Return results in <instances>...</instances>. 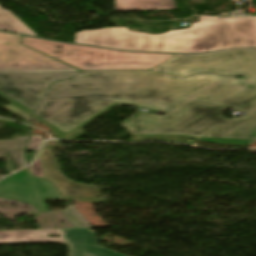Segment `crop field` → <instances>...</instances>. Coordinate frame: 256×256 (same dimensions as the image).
<instances>
[{"label":"crop field","instance_id":"obj_1","mask_svg":"<svg viewBox=\"0 0 256 256\" xmlns=\"http://www.w3.org/2000/svg\"><path fill=\"white\" fill-rule=\"evenodd\" d=\"M0 73V97L32 114L64 139L120 102L166 112L186 98L240 109L256 105V85L197 74L188 79L154 71Z\"/></svg>","mask_w":256,"mask_h":256},{"label":"crop field","instance_id":"obj_2","mask_svg":"<svg viewBox=\"0 0 256 256\" xmlns=\"http://www.w3.org/2000/svg\"><path fill=\"white\" fill-rule=\"evenodd\" d=\"M189 29L150 35L126 28L80 31L75 43L131 51L201 53L256 47V17H199Z\"/></svg>","mask_w":256,"mask_h":256},{"label":"crop field","instance_id":"obj_3","mask_svg":"<svg viewBox=\"0 0 256 256\" xmlns=\"http://www.w3.org/2000/svg\"><path fill=\"white\" fill-rule=\"evenodd\" d=\"M22 44L81 71L148 70L175 56L112 51L26 36Z\"/></svg>","mask_w":256,"mask_h":256},{"label":"crop field","instance_id":"obj_4","mask_svg":"<svg viewBox=\"0 0 256 256\" xmlns=\"http://www.w3.org/2000/svg\"><path fill=\"white\" fill-rule=\"evenodd\" d=\"M225 107L187 100L164 116L138 112L121 124L131 136H179L198 139L228 120Z\"/></svg>","mask_w":256,"mask_h":256},{"label":"crop field","instance_id":"obj_5","mask_svg":"<svg viewBox=\"0 0 256 256\" xmlns=\"http://www.w3.org/2000/svg\"><path fill=\"white\" fill-rule=\"evenodd\" d=\"M187 76L197 72L243 75L256 83V49L232 50L207 55H177L152 69Z\"/></svg>","mask_w":256,"mask_h":256},{"label":"crop field","instance_id":"obj_6","mask_svg":"<svg viewBox=\"0 0 256 256\" xmlns=\"http://www.w3.org/2000/svg\"><path fill=\"white\" fill-rule=\"evenodd\" d=\"M58 233L59 238H49ZM60 242L69 245V256H124L97 246L95 233L89 228L0 231V244Z\"/></svg>","mask_w":256,"mask_h":256},{"label":"crop field","instance_id":"obj_7","mask_svg":"<svg viewBox=\"0 0 256 256\" xmlns=\"http://www.w3.org/2000/svg\"><path fill=\"white\" fill-rule=\"evenodd\" d=\"M79 71L21 45V37L0 32V72Z\"/></svg>","mask_w":256,"mask_h":256},{"label":"crop field","instance_id":"obj_8","mask_svg":"<svg viewBox=\"0 0 256 256\" xmlns=\"http://www.w3.org/2000/svg\"><path fill=\"white\" fill-rule=\"evenodd\" d=\"M0 198L19 200L48 211L46 199L64 200L51 182L30 175L28 168L0 182Z\"/></svg>","mask_w":256,"mask_h":256},{"label":"crop field","instance_id":"obj_9","mask_svg":"<svg viewBox=\"0 0 256 256\" xmlns=\"http://www.w3.org/2000/svg\"><path fill=\"white\" fill-rule=\"evenodd\" d=\"M200 140L242 146L256 141V107L244 117L230 120Z\"/></svg>","mask_w":256,"mask_h":256},{"label":"crop field","instance_id":"obj_10","mask_svg":"<svg viewBox=\"0 0 256 256\" xmlns=\"http://www.w3.org/2000/svg\"><path fill=\"white\" fill-rule=\"evenodd\" d=\"M177 9L174 0H114V11Z\"/></svg>","mask_w":256,"mask_h":256},{"label":"crop field","instance_id":"obj_11","mask_svg":"<svg viewBox=\"0 0 256 256\" xmlns=\"http://www.w3.org/2000/svg\"><path fill=\"white\" fill-rule=\"evenodd\" d=\"M0 29L37 36L10 11L0 7Z\"/></svg>","mask_w":256,"mask_h":256},{"label":"crop field","instance_id":"obj_12","mask_svg":"<svg viewBox=\"0 0 256 256\" xmlns=\"http://www.w3.org/2000/svg\"><path fill=\"white\" fill-rule=\"evenodd\" d=\"M0 159H5L10 172L27 165L24 158V151L0 152Z\"/></svg>","mask_w":256,"mask_h":256},{"label":"crop field","instance_id":"obj_13","mask_svg":"<svg viewBox=\"0 0 256 256\" xmlns=\"http://www.w3.org/2000/svg\"><path fill=\"white\" fill-rule=\"evenodd\" d=\"M28 137H17L14 140H0V151L25 150Z\"/></svg>","mask_w":256,"mask_h":256},{"label":"crop field","instance_id":"obj_14","mask_svg":"<svg viewBox=\"0 0 256 256\" xmlns=\"http://www.w3.org/2000/svg\"><path fill=\"white\" fill-rule=\"evenodd\" d=\"M78 227H90L73 206L63 210Z\"/></svg>","mask_w":256,"mask_h":256},{"label":"crop field","instance_id":"obj_15","mask_svg":"<svg viewBox=\"0 0 256 256\" xmlns=\"http://www.w3.org/2000/svg\"><path fill=\"white\" fill-rule=\"evenodd\" d=\"M4 109L8 110L9 112L13 113L14 115L20 117L21 119L25 120L27 123H30V116L25 114L24 112L20 111L16 107L10 105L5 106Z\"/></svg>","mask_w":256,"mask_h":256},{"label":"crop field","instance_id":"obj_16","mask_svg":"<svg viewBox=\"0 0 256 256\" xmlns=\"http://www.w3.org/2000/svg\"><path fill=\"white\" fill-rule=\"evenodd\" d=\"M29 168H30L32 174L44 178V173H43L41 163H40V157H38L36 159V161L34 162V164L32 166H30Z\"/></svg>","mask_w":256,"mask_h":256},{"label":"crop field","instance_id":"obj_17","mask_svg":"<svg viewBox=\"0 0 256 256\" xmlns=\"http://www.w3.org/2000/svg\"><path fill=\"white\" fill-rule=\"evenodd\" d=\"M42 140L40 135H31L28 150H39L38 145Z\"/></svg>","mask_w":256,"mask_h":256},{"label":"crop field","instance_id":"obj_18","mask_svg":"<svg viewBox=\"0 0 256 256\" xmlns=\"http://www.w3.org/2000/svg\"><path fill=\"white\" fill-rule=\"evenodd\" d=\"M34 156H35L34 154L28 153V154H27V160H28V162H30V161L33 159Z\"/></svg>","mask_w":256,"mask_h":256},{"label":"crop field","instance_id":"obj_19","mask_svg":"<svg viewBox=\"0 0 256 256\" xmlns=\"http://www.w3.org/2000/svg\"><path fill=\"white\" fill-rule=\"evenodd\" d=\"M253 2H255V3H256V0H253Z\"/></svg>","mask_w":256,"mask_h":256}]
</instances>
